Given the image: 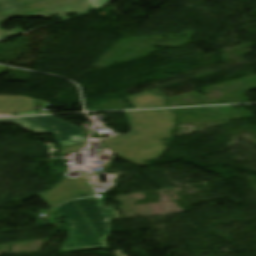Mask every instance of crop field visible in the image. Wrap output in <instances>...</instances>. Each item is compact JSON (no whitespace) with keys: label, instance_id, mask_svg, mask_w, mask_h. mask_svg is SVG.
Here are the masks:
<instances>
[{"label":"crop field","instance_id":"8a807250","mask_svg":"<svg viewBox=\"0 0 256 256\" xmlns=\"http://www.w3.org/2000/svg\"><path fill=\"white\" fill-rule=\"evenodd\" d=\"M68 224V237L60 252L107 247L110 219L101 198L82 199L57 207Z\"/></svg>","mask_w":256,"mask_h":256},{"label":"crop field","instance_id":"ac0d7876","mask_svg":"<svg viewBox=\"0 0 256 256\" xmlns=\"http://www.w3.org/2000/svg\"><path fill=\"white\" fill-rule=\"evenodd\" d=\"M124 113L129 121L131 131L123 137L101 141L111 150L170 137L175 127V115L167 110Z\"/></svg>","mask_w":256,"mask_h":256},{"label":"crop field","instance_id":"34b2d1b8","mask_svg":"<svg viewBox=\"0 0 256 256\" xmlns=\"http://www.w3.org/2000/svg\"><path fill=\"white\" fill-rule=\"evenodd\" d=\"M93 7L88 0H0V38L22 32L20 28L4 31L1 24L11 17H47L65 13L87 14Z\"/></svg>","mask_w":256,"mask_h":256},{"label":"crop field","instance_id":"412701ff","mask_svg":"<svg viewBox=\"0 0 256 256\" xmlns=\"http://www.w3.org/2000/svg\"><path fill=\"white\" fill-rule=\"evenodd\" d=\"M22 118L51 130L59 142L61 148L87 142V138L85 137L81 128L51 116Z\"/></svg>","mask_w":256,"mask_h":256},{"label":"crop field","instance_id":"f4fd0767","mask_svg":"<svg viewBox=\"0 0 256 256\" xmlns=\"http://www.w3.org/2000/svg\"><path fill=\"white\" fill-rule=\"evenodd\" d=\"M161 140L152 143L138 145L122 150L113 151L119 157L129 160L133 163L154 159L165 151Z\"/></svg>","mask_w":256,"mask_h":256},{"label":"crop field","instance_id":"dd49c442","mask_svg":"<svg viewBox=\"0 0 256 256\" xmlns=\"http://www.w3.org/2000/svg\"><path fill=\"white\" fill-rule=\"evenodd\" d=\"M34 109V99L18 96H0V112L14 113Z\"/></svg>","mask_w":256,"mask_h":256},{"label":"crop field","instance_id":"e52e79f7","mask_svg":"<svg viewBox=\"0 0 256 256\" xmlns=\"http://www.w3.org/2000/svg\"><path fill=\"white\" fill-rule=\"evenodd\" d=\"M72 199L93 196L94 190L86 179L61 180Z\"/></svg>","mask_w":256,"mask_h":256},{"label":"crop field","instance_id":"d8731c3e","mask_svg":"<svg viewBox=\"0 0 256 256\" xmlns=\"http://www.w3.org/2000/svg\"><path fill=\"white\" fill-rule=\"evenodd\" d=\"M135 108L164 107L165 99L149 91L127 98Z\"/></svg>","mask_w":256,"mask_h":256},{"label":"crop field","instance_id":"5a996713","mask_svg":"<svg viewBox=\"0 0 256 256\" xmlns=\"http://www.w3.org/2000/svg\"><path fill=\"white\" fill-rule=\"evenodd\" d=\"M39 196L51 207L71 200V197L60 182L56 183L51 190L45 191Z\"/></svg>","mask_w":256,"mask_h":256},{"label":"crop field","instance_id":"3316defc","mask_svg":"<svg viewBox=\"0 0 256 256\" xmlns=\"http://www.w3.org/2000/svg\"><path fill=\"white\" fill-rule=\"evenodd\" d=\"M4 122H14L15 125L21 126V127L25 128L27 130H30L34 133L46 134V133L50 132L46 129H43V128L36 126L26 120L19 119V118L0 119V123H4Z\"/></svg>","mask_w":256,"mask_h":256},{"label":"crop field","instance_id":"28ad6ade","mask_svg":"<svg viewBox=\"0 0 256 256\" xmlns=\"http://www.w3.org/2000/svg\"><path fill=\"white\" fill-rule=\"evenodd\" d=\"M107 0H89V2L92 4V6L96 9L98 8L100 5H102L104 2H106Z\"/></svg>","mask_w":256,"mask_h":256},{"label":"crop field","instance_id":"d1516ede","mask_svg":"<svg viewBox=\"0 0 256 256\" xmlns=\"http://www.w3.org/2000/svg\"><path fill=\"white\" fill-rule=\"evenodd\" d=\"M48 212H50L54 218H58V215L54 212L53 208L47 209Z\"/></svg>","mask_w":256,"mask_h":256},{"label":"crop field","instance_id":"22f410ed","mask_svg":"<svg viewBox=\"0 0 256 256\" xmlns=\"http://www.w3.org/2000/svg\"><path fill=\"white\" fill-rule=\"evenodd\" d=\"M7 68L4 66H0V74L7 73Z\"/></svg>","mask_w":256,"mask_h":256},{"label":"crop field","instance_id":"cbeb9de0","mask_svg":"<svg viewBox=\"0 0 256 256\" xmlns=\"http://www.w3.org/2000/svg\"><path fill=\"white\" fill-rule=\"evenodd\" d=\"M116 256H122L121 251H115Z\"/></svg>","mask_w":256,"mask_h":256}]
</instances>
